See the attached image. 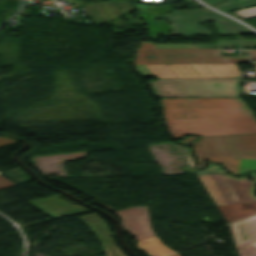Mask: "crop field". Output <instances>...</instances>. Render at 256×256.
Listing matches in <instances>:
<instances>
[{"label": "crop field", "mask_w": 256, "mask_h": 256, "mask_svg": "<svg viewBox=\"0 0 256 256\" xmlns=\"http://www.w3.org/2000/svg\"><path fill=\"white\" fill-rule=\"evenodd\" d=\"M167 128L174 139L256 133V117L241 98L160 99Z\"/></svg>", "instance_id": "crop-field-1"}, {"label": "crop field", "mask_w": 256, "mask_h": 256, "mask_svg": "<svg viewBox=\"0 0 256 256\" xmlns=\"http://www.w3.org/2000/svg\"><path fill=\"white\" fill-rule=\"evenodd\" d=\"M242 82L241 78L158 79L149 84L158 97H243Z\"/></svg>", "instance_id": "crop-field-2"}, {"label": "crop field", "mask_w": 256, "mask_h": 256, "mask_svg": "<svg viewBox=\"0 0 256 256\" xmlns=\"http://www.w3.org/2000/svg\"><path fill=\"white\" fill-rule=\"evenodd\" d=\"M250 60L256 59V50H246ZM134 64H204L250 62L247 58H219V49H156L151 42H143ZM161 57H164L163 60ZM256 63V62H250Z\"/></svg>", "instance_id": "crop-field-3"}, {"label": "crop field", "mask_w": 256, "mask_h": 256, "mask_svg": "<svg viewBox=\"0 0 256 256\" xmlns=\"http://www.w3.org/2000/svg\"><path fill=\"white\" fill-rule=\"evenodd\" d=\"M159 18H164L172 23L170 35H208L210 33L197 23L203 20H214L219 34L253 33L242 25L205 8L174 10L171 13L161 15ZM219 18L223 19L220 20Z\"/></svg>", "instance_id": "crop-field-4"}, {"label": "crop field", "mask_w": 256, "mask_h": 256, "mask_svg": "<svg viewBox=\"0 0 256 256\" xmlns=\"http://www.w3.org/2000/svg\"><path fill=\"white\" fill-rule=\"evenodd\" d=\"M139 74L157 78L241 77L237 64L135 65Z\"/></svg>", "instance_id": "crop-field-5"}, {"label": "crop field", "mask_w": 256, "mask_h": 256, "mask_svg": "<svg viewBox=\"0 0 256 256\" xmlns=\"http://www.w3.org/2000/svg\"><path fill=\"white\" fill-rule=\"evenodd\" d=\"M194 138L196 137H188L182 143H187ZM187 144L193 146L199 164L203 161H208L207 157L211 156L256 155V134L202 137L200 141Z\"/></svg>", "instance_id": "crop-field-6"}, {"label": "crop field", "mask_w": 256, "mask_h": 256, "mask_svg": "<svg viewBox=\"0 0 256 256\" xmlns=\"http://www.w3.org/2000/svg\"><path fill=\"white\" fill-rule=\"evenodd\" d=\"M215 205L254 202L248 190L252 182L247 179L233 180L224 174H198Z\"/></svg>", "instance_id": "crop-field-7"}, {"label": "crop field", "mask_w": 256, "mask_h": 256, "mask_svg": "<svg viewBox=\"0 0 256 256\" xmlns=\"http://www.w3.org/2000/svg\"><path fill=\"white\" fill-rule=\"evenodd\" d=\"M108 210L115 211L112 208L98 203ZM116 215L122 219V228L126 232L136 236V240H142L155 235L151 231V226L148 218L147 208L142 206L131 207L121 211H116Z\"/></svg>", "instance_id": "crop-field-8"}, {"label": "crop field", "mask_w": 256, "mask_h": 256, "mask_svg": "<svg viewBox=\"0 0 256 256\" xmlns=\"http://www.w3.org/2000/svg\"><path fill=\"white\" fill-rule=\"evenodd\" d=\"M85 6L97 25L107 23L133 11L129 2L125 0H109L88 3L85 4Z\"/></svg>", "instance_id": "crop-field-9"}, {"label": "crop field", "mask_w": 256, "mask_h": 256, "mask_svg": "<svg viewBox=\"0 0 256 256\" xmlns=\"http://www.w3.org/2000/svg\"><path fill=\"white\" fill-rule=\"evenodd\" d=\"M79 219L85 222L95 232L96 236L102 242L105 256H125L115 245L110 229L97 214H88L79 217Z\"/></svg>", "instance_id": "crop-field-10"}, {"label": "crop field", "mask_w": 256, "mask_h": 256, "mask_svg": "<svg viewBox=\"0 0 256 256\" xmlns=\"http://www.w3.org/2000/svg\"><path fill=\"white\" fill-rule=\"evenodd\" d=\"M223 164L233 175H240L247 170H256V156L232 155L208 158Z\"/></svg>", "instance_id": "crop-field-11"}, {"label": "crop field", "mask_w": 256, "mask_h": 256, "mask_svg": "<svg viewBox=\"0 0 256 256\" xmlns=\"http://www.w3.org/2000/svg\"><path fill=\"white\" fill-rule=\"evenodd\" d=\"M157 48H256V39L253 40H217V44H154Z\"/></svg>", "instance_id": "crop-field-12"}, {"label": "crop field", "mask_w": 256, "mask_h": 256, "mask_svg": "<svg viewBox=\"0 0 256 256\" xmlns=\"http://www.w3.org/2000/svg\"><path fill=\"white\" fill-rule=\"evenodd\" d=\"M235 243H242L256 239V216L230 224Z\"/></svg>", "instance_id": "crop-field-13"}, {"label": "crop field", "mask_w": 256, "mask_h": 256, "mask_svg": "<svg viewBox=\"0 0 256 256\" xmlns=\"http://www.w3.org/2000/svg\"><path fill=\"white\" fill-rule=\"evenodd\" d=\"M217 208L227 220V222H232L256 213V202L234 205H221L217 206Z\"/></svg>", "instance_id": "crop-field-14"}, {"label": "crop field", "mask_w": 256, "mask_h": 256, "mask_svg": "<svg viewBox=\"0 0 256 256\" xmlns=\"http://www.w3.org/2000/svg\"><path fill=\"white\" fill-rule=\"evenodd\" d=\"M135 245L139 250L145 251L148 256H167L173 253L172 250L165 247L155 236L139 241Z\"/></svg>", "instance_id": "crop-field-15"}, {"label": "crop field", "mask_w": 256, "mask_h": 256, "mask_svg": "<svg viewBox=\"0 0 256 256\" xmlns=\"http://www.w3.org/2000/svg\"><path fill=\"white\" fill-rule=\"evenodd\" d=\"M252 4H256V0H224L212 7H217L221 11H227Z\"/></svg>", "instance_id": "crop-field-16"}, {"label": "crop field", "mask_w": 256, "mask_h": 256, "mask_svg": "<svg viewBox=\"0 0 256 256\" xmlns=\"http://www.w3.org/2000/svg\"><path fill=\"white\" fill-rule=\"evenodd\" d=\"M240 256H256V240L236 245Z\"/></svg>", "instance_id": "crop-field-17"}, {"label": "crop field", "mask_w": 256, "mask_h": 256, "mask_svg": "<svg viewBox=\"0 0 256 256\" xmlns=\"http://www.w3.org/2000/svg\"><path fill=\"white\" fill-rule=\"evenodd\" d=\"M197 173H226V172L217 164H208V167L205 170L198 171Z\"/></svg>", "instance_id": "crop-field-18"}, {"label": "crop field", "mask_w": 256, "mask_h": 256, "mask_svg": "<svg viewBox=\"0 0 256 256\" xmlns=\"http://www.w3.org/2000/svg\"><path fill=\"white\" fill-rule=\"evenodd\" d=\"M227 177H230V178H233L231 176H229L228 174H225ZM248 175H254V178H253V183L251 185V188L249 190V193L252 197L256 198V196L253 194L254 193V187H255V184H256V173H252V174H247L241 178H234V179H242V178H246Z\"/></svg>", "instance_id": "crop-field-19"}, {"label": "crop field", "mask_w": 256, "mask_h": 256, "mask_svg": "<svg viewBox=\"0 0 256 256\" xmlns=\"http://www.w3.org/2000/svg\"><path fill=\"white\" fill-rule=\"evenodd\" d=\"M11 185H15V183H13V182L9 181L8 179L0 176V188L11 186Z\"/></svg>", "instance_id": "crop-field-20"}, {"label": "crop field", "mask_w": 256, "mask_h": 256, "mask_svg": "<svg viewBox=\"0 0 256 256\" xmlns=\"http://www.w3.org/2000/svg\"><path fill=\"white\" fill-rule=\"evenodd\" d=\"M184 149H185V153H186V156H187V159H188L189 164H190L191 166H193V165H194V161H193V159H192L191 156H190V150H189V148H188V147H184Z\"/></svg>", "instance_id": "crop-field-21"}, {"label": "crop field", "mask_w": 256, "mask_h": 256, "mask_svg": "<svg viewBox=\"0 0 256 256\" xmlns=\"http://www.w3.org/2000/svg\"><path fill=\"white\" fill-rule=\"evenodd\" d=\"M13 142H17V141L0 137V146L5 145V144H9V143H13Z\"/></svg>", "instance_id": "crop-field-22"}, {"label": "crop field", "mask_w": 256, "mask_h": 256, "mask_svg": "<svg viewBox=\"0 0 256 256\" xmlns=\"http://www.w3.org/2000/svg\"><path fill=\"white\" fill-rule=\"evenodd\" d=\"M218 1H220V0H207L205 2L210 4V5H212V4H214V3L218 2Z\"/></svg>", "instance_id": "crop-field-23"}, {"label": "crop field", "mask_w": 256, "mask_h": 256, "mask_svg": "<svg viewBox=\"0 0 256 256\" xmlns=\"http://www.w3.org/2000/svg\"><path fill=\"white\" fill-rule=\"evenodd\" d=\"M253 66H254V68H255V70H256V64H253Z\"/></svg>", "instance_id": "crop-field-24"}, {"label": "crop field", "mask_w": 256, "mask_h": 256, "mask_svg": "<svg viewBox=\"0 0 256 256\" xmlns=\"http://www.w3.org/2000/svg\"><path fill=\"white\" fill-rule=\"evenodd\" d=\"M172 256H178V254L172 255Z\"/></svg>", "instance_id": "crop-field-25"}]
</instances>
